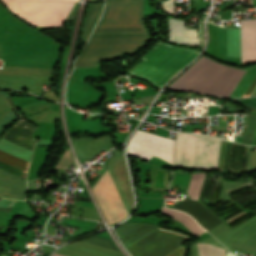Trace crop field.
I'll return each instance as SVG.
<instances>
[{"mask_svg": "<svg viewBox=\"0 0 256 256\" xmlns=\"http://www.w3.org/2000/svg\"><path fill=\"white\" fill-rule=\"evenodd\" d=\"M142 16L143 0H106L104 14L74 68L96 66L124 52L133 54L149 38Z\"/></svg>", "mask_w": 256, "mask_h": 256, "instance_id": "obj_1", "label": "crop field"}, {"mask_svg": "<svg viewBox=\"0 0 256 256\" xmlns=\"http://www.w3.org/2000/svg\"><path fill=\"white\" fill-rule=\"evenodd\" d=\"M245 73L202 56L168 88L229 97Z\"/></svg>", "mask_w": 256, "mask_h": 256, "instance_id": "obj_2", "label": "crop field"}, {"mask_svg": "<svg viewBox=\"0 0 256 256\" xmlns=\"http://www.w3.org/2000/svg\"><path fill=\"white\" fill-rule=\"evenodd\" d=\"M199 53L193 49L176 48L159 42L128 73L142 77L161 88Z\"/></svg>", "mask_w": 256, "mask_h": 256, "instance_id": "obj_3", "label": "crop field"}, {"mask_svg": "<svg viewBox=\"0 0 256 256\" xmlns=\"http://www.w3.org/2000/svg\"><path fill=\"white\" fill-rule=\"evenodd\" d=\"M221 139L178 133L174 165L217 169Z\"/></svg>", "mask_w": 256, "mask_h": 256, "instance_id": "obj_4", "label": "crop field"}, {"mask_svg": "<svg viewBox=\"0 0 256 256\" xmlns=\"http://www.w3.org/2000/svg\"><path fill=\"white\" fill-rule=\"evenodd\" d=\"M70 1L78 0H2L14 14L36 27L62 26Z\"/></svg>", "mask_w": 256, "mask_h": 256, "instance_id": "obj_5", "label": "crop field"}, {"mask_svg": "<svg viewBox=\"0 0 256 256\" xmlns=\"http://www.w3.org/2000/svg\"><path fill=\"white\" fill-rule=\"evenodd\" d=\"M174 143V140L137 130L129 139L127 154L147 161L154 155L172 164Z\"/></svg>", "mask_w": 256, "mask_h": 256, "instance_id": "obj_6", "label": "crop field"}, {"mask_svg": "<svg viewBox=\"0 0 256 256\" xmlns=\"http://www.w3.org/2000/svg\"><path fill=\"white\" fill-rule=\"evenodd\" d=\"M242 64L256 60V20H240Z\"/></svg>", "mask_w": 256, "mask_h": 256, "instance_id": "obj_7", "label": "crop field"}, {"mask_svg": "<svg viewBox=\"0 0 256 256\" xmlns=\"http://www.w3.org/2000/svg\"><path fill=\"white\" fill-rule=\"evenodd\" d=\"M170 39L174 42L197 46V30L184 29V21L170 19Z\"/></svg>", "mask_w": 256, "mask_h": 256, "instance_id": "obj_8", "label": "crop field"}, {"mask_svg": "<svg viewBox=\"0 0 256 256\" xmlns=\"http://www.w3.org/2000/svg\"><path fill=\"white\" fill-rule=\"evenodd\" d=\"M103 6H104V3L89 5L88 11L85 17L83 29H82L83 41L87 40L88 36L90 35L91 31L96 25L98 18L102 12Z\"/></svg>", "mask_w": 256, "mask_h": 256, "instance_id": "obj_9", "label": "crop field"}, {"mask_svg": "<svg viewBox=\"0 0 256 256\" xmlns=\"http://www.w3.org/2000/svg\"><path fill=\"white\" fill-rule=\"evenodd\" d=\"M162 212L164 214H169L181 223H183L192 233H194L196 236L204 232L199 225L188 215L181 213L179 211L170 210L168 208L163 207Z\"/></svg>", "mask_w": 256, "mask_h": 256, "instance_id": "obj_10", "label": "crop field"}, {"mask_svg": "<svg viewBox=\"0 0 256 256\" xmlns=\"http://www.w3.org/2000/svg\"><path fill=\"white\" fill-rule=\"evenodd\" d=\"M255 77H256V65L250 67L247 74L244 76V78L238 84V86L233 91V93L230 95V97H232V98L242 97V95L245 93V91L250 86V84L252 83V81L254 80Z\"/></svg>", "mask_w": 256, "mask_h": 256, "instance_id": "obj_11", "label": "crop field"}, {"mask_svg": "<svg viewBox=\"0 0 256 256\" xmlns=\"http://www.w3.org/2000/svg\"><path fill=\"white\" fill-rule=\"evenodd\" d=\"M0 161L1 162H4L8 165H11L15 168H18L20 170H23V171H27V167H28V162L24 161V160H21L17 157H14L10 154H7L3 151H0Z\"/></svg>", "mask_w": 256, "mask_h": 256, "instance_id": "obj_12", "label": "crop field"}, {"mask_svg": "<svg viewBox=\"0 0 256 256\" xmlns=\"http://www.w3.org/2000/svg\"><path fill=\"white\" fill-rule=\"evenodd\" d=\"M204 176L205 174H201V173H197L192 176L191 182L187 190L191 199L198 198Z\"/></svg>", "mask_w": 256, "mask_h": 256, "instance_id": "obj_13", "label": "crop field"}, {"mask_svg": "<svg viewBox=\"0 0 256 256\" xmlns=\"http://www.w3.org/2000/svg\"><path fill=\"white\" fill-rule=\"evenodd\" d=\"M72 162H73V160L71 158L70 151L67 150V152L65 153V155L63 156V158L61 159V161L59 162V164L57 165L56 168L69 169Z\"/></svg>", "mask_w": 256, "mask_h": 256, "instance_id": "obj_14", "label": "crop field"}, {"mask_svg": "<svg viewBox=\"0 0 256 256\" xmlns=\"http://www.w3.org/2000/svg\"><path fill=\"white\" fill-rule=\"evenodd\" d=\"M163 8L173 14V0H167L163 2Z\"/></svg>", "mask_w": 256, "mask_h": 256, "instance_id": "obj_15", "label": "crop field"}, {"mask_svg": "<svg viewBox=\"0 0 256 256\" xmlns=\"http://www.w3.org/2000/svg\"><path fill=\"white\" fill-rule=\"evenodd\" d=\"M203 25L204 22H199V37H200V47H204V40H203Z\"/></svg>", "mask_w": 256, "mask_h": 256, "instance_id": "obj_16", "label": "crop field"}, {"mask_svg": "<svg viewBox=\"0 0 256 256\" xmlns=\"http://www.w3.org/2000/svg\"><path fill=\"white\" fill-rule=\"evenodd\" d=\"M185 253V248H183L182 246L179 247L178 249H176L175 251H173L172 253H170L167 256H180L181 254Z\"/></svg>", "mask_w": 256, "mask_h": 256, "instance_id": "obj_17", "label": "crop field"}, {"mask_svg": "<svg viewBox=\"0 0 256 256\" xmlns=\"http://www.w3.org/2000/svg\"><path fill=\"white\" fill-rule=\"evenodd\" d=\"M255 86H256V79L253 81V83H252L251 86L248 88V90H247L246 93L243 95V97H248L249 94L252 92V90L254 89Z\"/></svg>", "mask_w": 256, "mask_h": 256, "instance_id": "obj_18", "label": "crop field"}, {"mask_svg": "<svg viewBox=\"0 0 256 256\" xmlns=\"http://www.w3.org/2000/svg\"><path fill=\"white\" fill-rule=\"evenodd\" d=\"M250 96H256V88H255V90L252 92V94Z\"/></svg>", "mask_w": 256, "mask_h": 256, "instance_id": "obj_19", "label": "crop field"}, {"mask_svg": "<svg viewBox=\"0 0 256 256\" xmlns=\"http://www.w3.org/2000/svg\"><path fill=\"white\" fill-rule=\"evenodd\" d=\"M53 256H64V255L54 253Z\"/></svg>", "mask_w": 256, "mask_h": 256, "instance_id": "obj_20", "label": "crop field"}, {"mask_svg": "<svg viewBox=\"0 0 256 256\" xmlns=\"http://www.w3.org/2000/svg\"><path fill=\"white\" fill-rule=\"evenodd\" d=\"M223 253H225V251L223 250Z\"/></svg>", "mask_w": 256, "mask_h": 256, "instance_id": "obj_21", "label": "crop field"}]
</instances>
